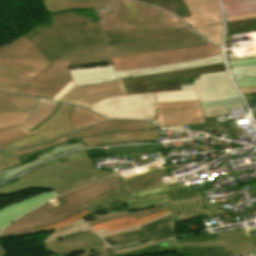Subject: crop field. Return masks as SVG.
<instances>
[{
  "label": "crop field",
  "instance_id": "8a807250",
  "mask_svg": "<svg viewBox=\"0 0 256 256\" xmlns=\"http://www.w3.org/2000/svg\"><path fill=\"white\" fill-rule=\"evenodd\" d=\"M50 16V15H49ZM50 62L69 61V66L107 61L111 57L159 50L209 45L206 40L108 46L99 21L71 13L51 15L25 34ZM212 44V43H210Z\"/></svg>",
  "mask_w": 256,
  "mask_h": 256
},
{
  "label": "crop field",
  "instance_id": "ac0d7876",
  "mask_svg": "<svg viewBox=\"0 0 256 256\" xmlns=\"http://www.w3.org/2000/svg\"><path fill=\"white\" fill-rule=\"evenodd\" d=\"M114 174L95 170L87 151L71 153L34 169L19 181L0 188V197L37 188L54 190L58 195Z\"/></svg>",
  "mask_w": 256,
  "mask_h": 256
},
{
  "label": "crop field",
  "instance_id": "34b2d1b8",
  "mask_svg": "<svg viewBox=\"0 0 256 256\" xmlns=\"http://www.w3.org/2000/svg\"><path fill=\"white\" fill-rule=\"evenodd\" d=\"M94 10L104 29L185 25L157 7L131 0H95Z\"/></svg>",
  "mask_w": 256,
  "mask_h": 256
},
{
  "label": "crop field",
  "instance_id": "412701ff",
  "mask_svg": "<svg viewBox=\"0 0 256 256\" xmlns=\"http://www.w3.org/2000/svg\"><path fill=\"white\" fill-rule=\"evenodd\" d=\"M49 63L25 36L0 48V90H21Z\"/></svg>",
  "mask_w": 256,
  "mask_h": 256
},
{
  "label": "crop field",
  "instance_id": "f4fd0767",
  "mask_svg": "<svg viewBox=\"0 0 256 256\" xmlns=\"http://www.w3.org/2000/svg\"><path fill=\"white\" fill-rule=\"evenodd\" d=\"M193 99H198L194 90L135 94L104 99L89 109L108 118L154 120L155 103Z\"/></svg>",
  "mask_w": 256,
  "mask_h": 256
},
{
  "label": "crop field",
  "instance_id": "dd49c442",
  "mask_svg": "<svg viewBox=\"0 0 256 256\" xmlns=\"http://www.w3.org/2000/svg\"><path fill=\"white\" fill-rule=\"evenodd\" d=\"M160 127L141 121L112 120L68 134L70 140L81 138L85 147L157 141Z\"/></svg>",
  "mask_w": 256,
  "mask_h": 256
},
{
  "label": "crop field",
  "instance_id": "e52e79f7",
  "mask_svg": "<svg viewBox=\"0 0 256 256\" xmlns=\"http://www.w3.org/2000/svg\"><path fill=\"white\" fill-rule=\"evenodd\" d=\"M221 62L223 61L221 59V55L219 54V55H215L207 58L181 62L176 64H170L165 66L153 67V68H146V69L114 72L113 65H111V66H103V67H95V68L70 70V74L77 86H84V85L101 83L103 82V80H106V82L114 81L117 78L151 75V74H157V73H162L167 71L215 64V63H221Z\"/></svg>",
  "mask_w": 256,
  "mask_h": 256
},
{
  "label": "crop field",
  "instance_id": "d8731c3e",
  "mask_svg": "<svg viewBox=\"0 0 256 256\" xmlns=\"http://www.w3.org/2000/svg\"><path fill=\"white\" fill-rule=\"evenodd\" d=\"M220 48L210 45L170 51H159L112 58L115 70L138 69L176 63L218 54Z\"/></svg>",
  "mask_w": 256,
  "mask_h": 256
},
{
  "label": "crop field",
  "instance_id": "5a996713",
  "mask_svg": "<svg viewBox=\"0 0 256 256\" xmlns=\"http://www.w3.org/2000/svg\"><path fill=\"white\" fill-rule=\"evenodd\" d=\"M104 31L109 45L203 39L186 26Z\"/></svg>",
  "mask_w": 256,
  "mask_h": 256
},
{
  "label": "crop field",
  "instance_id": "3316defc",
  "mask_svg": "<svg viewBox=\"0 0 256 256\" xmlns=\"http://www.w3.org/2000/svg\"><path fill=\"white\" fill-rule=\"evenodd\" d=\"M168 202L163 184L135 193H127L116 197L108 202L86 207L92 217L108 215L121 211L133 210L137 208L152 206ZM102 212V214L94 213Z\"/></svg>",
  "mask_w": 256,
  "mask_h": 256
},
{
  "label": "crop field",
  "instance_id": "28ad6ade",
  "mask_svg": "<svg viewBox=\"0 0 256 256\" xmlns=\"http://www.w3.org/2000/svg\"><path fill=\"white\" fill-rule=\"evenodd\" d=\"M68 62L50 63L32 82L16 94L52 99L70 81Z\"/></svg>",
  "mask_w": 256,
  "mask_h": 256
},
{
  "label": "crop field",
  "instance_id": "d1516ede",
  "mask_svg": "<svg viewBox=\"0 0 256 256\" xmlns=\"http://www.w3.org/2000/svg\"><path fill=\"white\" fill-rule=\"evenodd\" d=\"M72 108V105L60 103L55 113L35 128L38 133L4 144L0 146V149L23 148L72 132L73 130L69 122V115Z\"/></svg>",
  "mask_w": 256,
  "mask_h": 256
},
{
  "label": "crop field",
  "instance_id": "22f410ed",
  "mask_svg": "<svg viewBox=\"0 0 256 256\" xmlns=\"http://www.w3.org/2000/svg\"><path fill=\"white\" fill-rule=\"evenodd\" d=\"M204 122L198 100L157 104L156 123L163 127Z\"/></svg>",
  "mask_w": 256,
  "mask_h": 256
},
{
  "label": "crop field",
  "instance_id": "cbeb9de0",
  "mask_svg": "<svg viewBox=\"0 0 256 256\" xmlns=\"http://www.w3.org/2000/svg\"><path fill=\"white\" fill-rule=\"evenodd\" d=\"M193 82L194 85L180 87L182 90L195 89L200 102L240 97L232 88L226 72L201 75Z\"/></svg>",
  "mask_w": 256,
  "mask_h": 256
},
{
  "label": "crop field",
  "instance_id": "5142ce71",
  "mask_svg": "<svg viewBox=\"0 0 256 256\" xmlns=\"http://www.w3.org/2000/svg\"><path fill=\"white\" fill-rule=\"evenodd\" d=\"M127 95L123 80L118 79L114 82H107L85 87L76 85L59 101L89 107L104 98L111 96Z\"/></svg>",
  "mask_w": 256,
  "mask_h": 256
},
{
  "label": "crop field",
  "instance_id": "d9b57169",
  "mask_svg": "<svg viewBox=\"0 0 256 256\" xmlns=\"http://www.w3.org/2000/svg\"><path fill=\"white\" fill-rule=\"evenodd\" d=\"M141 228L142 229L138 231L104 238L103 240L110 246H119L127 243L139 242L148 238L151 240L149 242L162 239L168 235L173 234V214L154 222L145 224L141 226Z\"/></svg>",
  "mask_w": 256,
  "mask_h": 256
},
{
  "label": "crop field",
  "instance_id": "733c2abd",
  "mask_svg": "<svg viewBox=\"0 0 256 256\" xmlns=\"http://www.w3.org/2000/svg\"><path fill=\"white\" fill-rule=\"evenodd\" d=\"M192 17L182 20L191 28L221 23L217 0H183Z\"/></svg>",
  "mask_w": 256,
  "mask_h": 256
},
{
  "label": "crop field",
  "instance_id": "4a817a6b",
  "mask_svg": "<svg viewBox=\"0 0 256 256\" xmlns=\"http://www.w3.org/2000/svg\"><path fill=\"white\" fill-rule=\"evenodd\" d=\"M104 242L92 231L78 234L66 239L47 243L45 249L54 254H69L77 250H85L91 246H101Z\"/></svg>",
  "mask_w": 256,
  "mask_h": 256
},
{
  "label": "crop field",
  "instance_id": "bc2a9ffb",
  "mask_svg": "<svg viewBox=\"0 0 256 256\" xmlns=\"http://www.w3.org/2000/svg\"><path fill=\"white\" fill-rule=\"evenodd\" d=\"M57 196L52 192H44L28 199L22 200L15 204H12L4 209L0 210V232L10 222L18 218L19 216L39 207L48 199Z\"/></svg>",
  "mask_w": 256,
  "mask_h": 256
},
{
  "label": "crop field",
  "instance_id": "214f88e0",
  "mask_svg": "<svg viewBox=\"0 0 256 256\" xmlns=\"http://www.w3.org/2000/svg\"><path fill=\"white\" fill-rule=\"evenodd\" d=\"M217 236L224 249L232 250L234 256L256 250L255 245L251 242L256 241V235L247 236L245 230L220 233Z\"/></svg>",
  "mask_w": 256,
  "mask_h": 256
},
{
  "label": "crop field",
  "instance_id": "92a150f3",
  "mask_svg": "<svg viewBox=\"0 0 256 256\" xmlns=\"http://www.w3.org/2000/svg\"><path fill=\"white\" fill-rule=\"evenodd\" d=\"M170 243V247H187V246H221L220 242L218 239H213V240H207V241H196V242H184V243H178L177 238L168 240ZM155 243H150L147 245L139 246V247H134V248H129V249H124V250H118V251H111L110 248L106 249L105 251L111 255V256H139V255H145V254H151V253H157V252H163V251H169V248H153L146 250L144 252L140 253H135V254H119L122 252H133L137 251L139 249H142L146 246L153 245Z\"/></svg>",
  "mask_w": 256,
  "mask_h": 256
},
{
  "label": "crop field",
  "instance_id": "dafd665d",
  "mask_svg": "<svg viewBox=\"0 0 256 256\" xmlns=\"http://www.w3.org/2000/svg\"><path fill=\"white\" fill-rule=\"evenodd\" d=\"M40 102L38 99L26 98L0 92V113L29 112Z\"/></svg>",
  "mask_w": 256,
  "mask_h": 256
},
{
  "label": "crop field",
  "instance_id": "00972430",
  "mask_svg": "<svg viewBox=\"0 0 256 256\" xmlns=\"http://www.w3.org/2000/svg\"><path fill=\"white\" fill-rule=\"evenodd\" d=\"M80 147H84L83 143L80 142V143H76V144H73V145H68L67 143L64 144V146H61V147H54L55 149L43 154V156L41 157H38L36 158L34 161L30 162V163H27L23 166H20L18 168H15L13 170H5L3 172L0 173V183L6 181L7 179H9L10 177L42 162V161H45L51 157H54L55 155L59 154V153H62V152H67V151H70L72 149H76V148H80Z\"/></svg>",
  "mask_w": 256,
  "mask_h": 256
},
{
  "label": "crop field",
  "instance_id": "a9b5d70f",
  "mask_svg": "<svg viewBox=\"0 0 256 256\" xmlns=\"http://www.w3.org/2000/svg\"><path fill=\"white\" fill-rule=\"evenodd\" d=\"M58 105V102L42 100L40 104L37 106V108L34 110L28 122L23 126H25L30 131L33 130L41 122H43L50 115H52Z\"/></svg>",
  "mask_w": 256,
  "mask_h": 256
},
{
  "label": "crop field",
  "instance_id": "4177f3b9",
  "mask_svg": "<svg viewBox=\"0 0 256 256\" xmlns=\"http://www.w3.org/2000/svg\"><path fill=\"white\" fill-rule=\"evenodd\" d=\"M41 4L53 14L69 8H93L94 0H43Z\"/></svg>",
  "mask_w": 256,
  "mask_h": 256
},
{
  "label": "crop field",
  "instance_id": "730fd06b",
  "mask_svg": "<svg viewBox=\"0 0 256 256\" xmlns=\"http://www.w3.org/2000/svg\"><path fill=\"white\" fill-rule=\"evenodd\" d=\"M170 252L184 256H233L231 251H224L222 247L170 248Z\"/></svg>",
  "mask_w": 256,
  "mask_h": 256
},
{
  "label": "crop field",
  "instance_id": "eef30255",
  "mask_svg": "<svg viewBox=\"0 0 256 256\" xmlns=\"http://www.w3.org/2000/svg\"><path fill=\"white\" fill-rule=\"evenodd\" d=\"M68 140H69V138L67 137V135H65V136H61L59 138H56L54 140H51L49 142L38 144V145L29 147V148H25V149L2 150V151H0V162H2L4 160H7L9 158L15 157V156L19 157V156H22L24 154L32 153V152L37 151V150L51 148V147H54L58 144H62L64 142L68 141Z\"/></svg>",
  "mask_w": 256,
  "mask_h": 256
},
{
  "label": "crop field",
  "instance_id": "ae1a2a85",
  "mask_svg": "<svg viewBox=\"0 0 256 256\" xmlns=\"http://www.w3.org/2000/svg\"><path fill=\"white\" fill-rule=\"evenodd\" d=\"M170 211L171 210L169 208H167L165 210H162L160 212H157L155 214H152L150 216H147V217L142 218V219L137 220V221H135L134 217L131 216V217H126V218H121V219L105 222V223H102V224H99V225L92 226L91 228L94 231L98 230V229H101V228H106L109 231L117 230V229L124 228V227H127V226H131V225H134V224H140L144 221H147L151 218H154L156 216L162 215V214L170 212Z\"/></svg>",
  "mask_w": 256,
  "mask_h": 256
},
{
  "label": "crop field",
  "instance_id": "d3111659",
  "mask_svg": "<svg viewBox=\"0 0 256 256\" xmlns=\"http://www.w3.org/2000/svg\"><path fill=\"white\" fill-rule=\"evenodd\" d=\"M144 3L159 6L175 16L182 18L191 16L182 0H137Z\"/></svg>",
  "mask_w": 256,
  "mask_h": 256
},
{
  "label": "crop field",
  "instance_id": "750c4746",
  "mask_svg": "<svg viewBox=\"0 0 256 256\" xmlns=\"http://www.w3.org/2000/svg\"><path fill=\"white\" fill-rule=\"evenodd\" d=\"M167 207H168L167 204H164V205L146 208V209H142V210L125 212V213H120V214L110 215V216H104V217H100L98 219L89 221V222H87V224L89 226H91V225H95V224L102 223L105 221H109V220H113V219H117V218H121V217H126V216H131V215H134L135 219L137 220L139 218L145 217L147 215H150L152 213H155V212L165 209Z\"/></svg>",
  "mask_w": 256,
  "mask_h": 256
},
{
  "label": "crop field",
  "instance_id": "bd1437ed",
  "mask_svg": "<svg viewBox=\"0 0 256 256\" xmlns=\"http://www.w3.org/2000/svg\"><path fill=\"white\" fill-rule=\"evenodd\" d=\"M87 230H90V228L84 223V221H81L73 225H70L68 227H65L63 229L55 231L45 239L44 244L47 242L65 238L71 235H76L78 233H81Z\"/></svg>",
  "mask_w": 256,
  "mask_h": 256
},
{
  "label": "crop field",
  "instance_id": "1d83c4d3",
  "mask_svg": "<svg viewBox=\"0 0 256 256\" xmlns=\"http://www.w3.org/2000/svg\"><path fill=\"white\" fill-rule=\"evenodd\" d=\"M34 133H36L35 130L30 132L23 126L11 127V128L0 130V145L34 134Z\"/></svg>",
  "mask_w": 256,
  "mask_h": 256
},
{
  "label": "crop field",
  "instance_id": "120bbe31",
  "mask_svg": "<svg viewBox=\"0 0 256 256\" xmlns=\"http://www.w3.org/2000/svg\"><path fill=\"white\" fill-rule=\"evenodd\" d=\"M194 31L215 44L221 43L222 24L206 26Z\"/></svg>",
  "mask_w": 256,
  "mask_h": 256
},
{
  "label": "crop field",
  "instance_id": "d32e631a",
  "mask_svg": "<svg viewBox=\"0 0 256 256\" xmlns=\"http://www.w3.org/2000/svg\"><path fill=\"white\" fill-rule=\"evenodd\" d=\"M31 113L0 114V129L8 126L24 124Z\"/></svg>",
  "mask_w": 256,
  "mask_h": 256
},
{
  "label": "crop field",
  "instance_id": "5866460e",
  "mask_svg": "<svg viewBox=\"0 0 256 256\" xmlns=\"http://www.w3.org/2000/svg\"><path fill=\"white\" fill-rule=\"evenodd\" d=\"M256 63L255 59H245V60H236L230 61L229 66L234 65H244V64H254ZM233 79L238 87H245V86H256V78L252 77H242V76H233Z\"/></svg>",
  "mask_w": 256,
  "mask_h": 256
},
{
  "label": "crop field",
  "instance_id": "028f5c9d",
  "mask_svg": "<svg viewBox=\"0 0 256 256\" xmlns=\"http://www.w3.org/2000/svg\"><path fill=\"white\" fill-rule=\"evenodd\" d=\"M88 215H90V214L88 213L87 210H85V211H83V212H81V213H79V214H77V215H75L71 218L65 219L63 221H60V222L55 223L53 225L47 226L45 228L37 229V232H40V231H43V230H50V229H59L61 227H64V226L69 225L71 223H74V222H76V221L80 220L81 218H84Z\"/></svg>",
  "mask_w": 256,
  "mask_h": 256
},
{
  "label": "crop field",
  "instance_id": "e1f06a70",
  "mask_svg": "<svg viewBox=\"0 0 256 256\" xmlns=\"http://www.w3.org/2000/svg\"><path fill=\"white\" fill-rule=\"evenodd\" d=\"M172 213H173V212L167 213V214H165V215H162V216H159V217H157V218L151 219V220H149V221H147V222H144V223H142V224H145V223L151 222V221H153V220L162 218V217H164V216H166V215H168V214H172ZM142 224H140V225H142ZM140 225H135V226H132V227H128V228H124V229H121V230L113 231V232H110V233H109V231H107L106 229H101V230H98V231H96V232L100 235L101 238H104V237H108V236H112V235H116V234H120V233H124V232H129V231L141 229V228L139 227Z\"/></svg>",
  "mask_w": 256,
  "mask_h": 256
},
{
  "label": "crop field",
  "instance_id": "0bd39190",
  "mask_svg": "<svg viewBox=\"0 0 256 256\" xmlns=\"http://www.w3.org/2000/svg\"><path fill=\"white\" fill-rule=\"evenodd\" d=\"M230 68H231L233 75L256 77V64L255 65H245V66H235V67H230Z\"/></svg>",
  "mask_w": 256,
  "mask_h": 256
},
{
  "label": "crop field",
  "instance_id": "b80d0937",
  "mask_svg": "<svg viewBox=\"0 0 256 256\" xmlns=\"http://www.w3.org/2000/svg\"><path fill=\"white\" fill-rule=\"evenodd\" d=\"M106 154H117V153H145L144 146H128L112 148L111 150H105Z\"/></svg>",
  "mask_w": 256,
  "mask_h": 256
},
{
  "label": "crop field",
  "instance_id": "c035e120",
  "mask_svg": "<svg viewBox=\"0 0 256 256\" xmlns=\"http://www.w3.org/2000/svg\"><path fill=\"white\" fill-rule=\"evenodd\" d=\"M224 12H225V16L226 17L243 15V14H249V13H255L256 12V6H250V7L226 10Z\"/></svg>",
  "mask_w": 256,
  "mask_h": 256
},
{
  "label": "crop field",
  "instance_id": "c21b1889",
  "mask_svg": "<svg viewBox=\"0 0 256 256\" xmlns=\"http://www.w3.org/2000/svg\"><path fill=\"white\" fill-rule=\"evenodd\" d=\"M105 248L92 247L78 256H109L105 251Z\"/></svg>",
  "mask_w": 256,
  "mask_h": 256
},
{
  "label": "crop field",
  "instance_id": "03da06ac",
  "mask_svg": "<svg viewBox=\"0 0 256 256\" xmlns=\"http://www.w3.org/2000/svg\"><path fill=\"white\" fill-rule=\"evenodd\" d=\"M73 80L61 91L59 92L52 100L58 101L62 96H64L73 86H74Z\"/></svg>",
  "mask_w": 256,
  "mask_h": 256
},
{
  "label": "crop field",
  "instance_id": "b54c1fbb",
  "mask_svg": "<svg viewBox=\"0 0 256 256\" xmlns=\"http://www.w3.org/2000/svg\"><path fill=\"white\" fill-rule=\"evenodd\" d=\"M250 5H256V0L255 1H249V2H243V3H237V4H232V5L224 6L223 9L226 10V9L250 6Z\"/></svg>",
  "mask_w": 256,
  "mask_h": 256
},
{
  "label": "crop field",
  "instance_id": "5d738f31",
  "mask_svg": "<svg viewBox=\"0 0 256 256\" xmlns=\"http://www.w3.org/2000/svg\"><path fill=\"white\" fill-rule=\"evenodd\" d=\"M241 92L244 94H256V87H245L240 88Z\"/></svg>",
  "mask_w": 256,
  "mask_h": 256
},
{
  "label": "crop field",
  "instance_id": "d23c7cc5",
  "mask_svg": "<svg viewBox=\"0 0 256 256\" xmlns=\"http://www.w3.org/2000/svg\"><path fill=\"white\" fill-rule=\"evenodd\" d=\"M143 244H146V243H134V244L124 245V246H119V247H113L111 249L113 251V250H117V249H124V248L139 246V245H143Z\"/></svg>",
  "mask_w": 256,
  "mask_h": 256
},
{
  "label": "crop field",
  "instance_id": "425ffa30",
  "mask_svg": "<svg viewBox=\"0 0 256 256\" xmlns=\"http://www.w3.org/2000/svg\"><path fill=\"white\" fill-rule=\"evenodd\" d=\"M243 1H249V0H221L222 5H228V4L243 2Z\"/></svg>",
  "mask_w": 256,
  "mask_h": 256
},
{
  "label": "crop field",
  "instance_id": "25e5ab78",
  "mask_svg": "<svg viewBox=\"0 0 256 256\" xmlns=\"http://www.w3.org/2000/svg\"><path fill=\"white\" fill-rule=\"evenodd\" d=\"M37 1H39L41 3L42 0H37Z\"/></svg>",
  "mask_w": 256,
  "mask_h": 256
}]
</instances>
